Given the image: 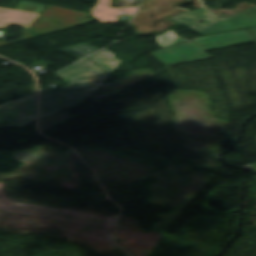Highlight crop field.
Masks as SVG:
<instances>
[{
  "label": "crop field",
  "mask_w": 256,
  "mask_h": 256,
  "mask_svg": "<svg viewBox=\"0 0 256 256\" xmlns=\"http://www.w3.org/2000/svg\"><path fill=\"white\" fill-rule=\"evenodd\" d=\"M107 49L55 74L67 87L41 90L40 116L45 118L87 102L94 91L121 62Z\"/></svg>",
  "instance_id": "obj_1"
},
{
  "label": "crop field",
  "mask_w": 256,
  "mask_h": 256,
  "mask_svg": "<svg viewBox=\"0 0 256 256\" xmlns=\"http://www.w3.org/2000/svg\"><path fill=\"white\" fill-rule=\"evenodd\" d=\"M161 48L178 44L188 39L177 36L173 30H168L157 36ZM190 41V40H189ZM254 41L247 30L227 34L195 38L193 41L184 42L170 48L151 53L153 57L164 65L190 62L212 58L204 51L252 42Z\"/></svg>",
  "instance_id": "obj_2"
},
{
  "label": "crop field",
  "mask_w": 256,
  "mask_h": 256,
  "mask_svg": "<svg viewBox=\"0 0 256 256\" xmlns=\"http://www.w3.org/2000/svg\"><path fill=\"white\" fill-rule=\"evenodd\" d=\"M200 35L256 26V6L248 8L227 19H220L206 8L170 17ZM205 22L200 23L198 21ZM175 21V22H176Z\"/></svg>",
  "instance_id": "obj_3"
},
{
  "label": "crop field",
  "mask_w": 256,
  "mask_h": 256,
  "mask_svg": "<svg viewBox=\"0 0 256 256\" xmlns=\"http://www.w3.org/2000/svg\"><path fill=\"white\" fill-rule=\"evenodd\" d=\"M192 0H142L141 9L131 22L137 35L160 33L177 24L165 19L189 10L179 6Z\"/></svg>",
  "instance_id": "obj_4"
},
{
  "label": "crop field",
  "mask_w": 256,
  "mask_h": 256,
  "mask_svg": "<svg viewBox=\"0 0 256 256\" xmlns=\"http://www.w3.org/2000/svg\"><path fill=\"white\" fill-rule=\"evenodd\" d=\"M89 14L49 5L29 30L33 38L73 28L95 20Z\"/></svg>",
  "instance_id": "obj_5"
},
{
  "label": "crop field",
  "mask_w": 256,
  "mask_h": 256,
  "mask_svg": "<svg viewBox=\"0 0 256 256\" xmlns=\"http://www.w3.org/2000/svg\"><path fill=\"white\" fill-rule=\"evenodd\" d=\"M37 95L0 105V129L18 128L36 121Z\"/></svg>",
  "instance_id": "obj_6"
},
{
  "label": "crop field",
  "mask_w": 256,
  "mask_h": 256,
  "mask_svg": "<svg viewBox=\"0 0 256 256\" xmlns=\"http://www.w3.org/2000/svg\"><path fill=\"white\" fill-rule=\"evenodd\" d=\"M47 6L35 4L21 0L14 10L0 8V29L9 25L16 24L25 28L23 32V39L7 43L5 40L0 41V46L31 39L27 29L32 25L36 18L45 10Z\"/></svg>",
  "instance_id": "obj_7"
},
{
  "label": "crop field",
  "mask_w": 256,
  "mask_h": 256,
  "mask_svg": "<svg viewBox=\"0 0 256 256\" xmlns=\"http://www.w3.org/2000/svg\"><path fill=\"white\" fill-rule=\"evenodd\" d=\"M112 0H98L97 5L91 10V16L102 23H116L119 14L134 15L138 8L114 9L111 8Z\"/></svg>",
  "instance_id": "obj_8"
},
{
  "label": "crop field",
  "mask_w": 256,
  "mask_h": 256,
  "mask_svg": "<svg viewBox=\"0 0 256 256\" xmlns=\"http://www.w3.org/2000/svg\"><path fill=\"white\" fill-rule=\"evenodd\" d=\"M97 50L99 49L92 47L86 43H82L59 51L79 60Z\"/></svg>",
  "instance_id": "obj_9"
},
{
  "label": "crop field",
  "mask_w": 256,
  "mask_h": 256,
  "mask_svg": "<svg viewBox=\"0 0 256 256\" xmlns=\"http://www.w3.org/2000/svg\"><path fill=\"white\" fill-rule=\"evenodd\" d=\"M249 34L256 38V28L247 29ZM256 40V39H255Z\"/></svg>",
  "instance_id": "obj_10"
},
{
  "label": "crop field",
  "mask_w": 256,
  "mask_h": 256,
  "mask_svg": "<svg viewBox=\"0 0 256 256\" xmlns=\"http://www.w3.org/2000/svg\"><path fill=\"white\" fill-rule=\"evenodd\" d=\"M198 1H199V3H200L201 6L205 7L204 4H203V2H202V0H198Z\"/></svg>",
  "instance_id": "obj_11"
}]
</instances>
